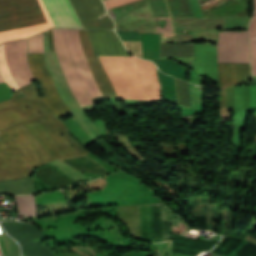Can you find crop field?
I'll list each match as a JSON object with an SVG mask.
<instances>
[{
	"label": "crop field",
	"mask_w": 256,
	"mask_h": 256,
	"mask_svg": "<svg viewBox=\"0 0 256 256\" xmlns=\"http://www.w3.org/2000/svg\"><path fill=\"white\" fill-rule=\"evenodd\" d=\"M35 177L50 189L68 186L75 183L74 180L49 163L38 168L35 172Z\"/></svg>",
	"instance_id": "obj_17"
},
{
	"label": "crop field",
	"mask_w": 256,
	"mask_h": 256,
	"mask_svg": "<svg viewBox=\"0 0 256 256\" xmlns=\"http://www.w3.org/2000/svg\"><path fill=\"white\" fill-rule=\"evenodd\" d=\"M0 192L14 194H35L33 176L0 182Z\"/></svg>",
	"instance_id": "obj_20"
},
{
	"label": "crop field",
	"mask_w": 256,
	"mask_h": 256,
	"mask_svg": "<svg viewBox=\"0 0 256 256\" xmlns=\"http://www.w3.org/2000/svg\"><path fill=\"white\" fill-rule=\"evenodd\" d=\"M172 253L195 256L197 253L209 250L218 240L205 241L200 239L186 238L172 233Z\"/></svg>",
	"instance_id": "obj_16"
},
{
	"label": "crop field",
	"mask_w": 256,
	"mask_h": 256,
	"mask_svg": "<svg viewBox=\"0 0 256 256\" xmlns=\"http://www.w3.org/2000/svg\"><path fill=\"white\" fill-rule=\"evenodd\" d=\"M211 252L220 256H256V245L241 239L223 237Z\"/></svg>",
	"instance_id": "obj_15"
},
{
	"label": "crop field",
	"mask_w": 256,
	"mask_h": 256,
	"mask_svg": "<svg viewBox=\"0 0 256 256\" xmlns=\"http://www.w3.org/2000/svg\"><path fill=\"white\" fill-rule=\"evenodd\" d=\"M39 113L43 114L30 118ZM19 121L0 131V180L25 177L48 161L89 153L42 101L35 83L0 103V130Z\"/></svg>",
	"instance_id": "obj_1"
},
{
	"label": "crop field",
	"mask_w": 256,
	"mask_h": 256,
	"mask_svg": "<svg viewBox=\"0 0 256 256\" xmlns=\"http://www.w3.org/2000/svg\"><path fill=\"white\" fill-rule=\"evenodd\" d=\"M249 38L251 44L252 59H256V15H253L249 25Z\"/></svg>",
	"instance_id": "obj_27"
},
{
	"label": "crop field",
	"mask_w": 256,
	"mask_h": 256,
	"mask_svg": "<svg viewBox=\"0 0 256 256\" xmlns=\"http://www.w3.org/2000/svg\"><path fill=\"white\" fill-rule=\"evenodd\" d=\"M175 87L178 104L183 107L191 108L188 83L175 79Z\"/></svg>",
	"instance_id": "obj_24"
},
{
	"label": "crop field",
	"mask_w": 256,
	"mask_h": 256,
	"mask_svg": "<svg viewBox=\"0 0 256 256\" xmlns=\"http://www.w3.org/2000/svg\"><path fill=\"white\" fill-rule=\"evenodd\" d=\"M5 81H4V79H3V77H2V75H1V73H0V83H4Z\"/></svg>",
	"instance_id": "obj_32"
},
{
	"label": "crop field",
	"mask_w": 256,
	"mask_h": 256,
	"mask_svg": "<svg viewBox=\"0 0 256 256\" xmlns=\"http://www.w3.org/2000/svg\"><path fill=\"white\" fill-rule=\"evenodd\" d=\"M118 220L127 224L131 235L140 240L138 205L119 206Z\"/></svg>",
	"instance_id": "obj_19"
},
{
	"label": "crop field",
	"mask_w": 256,
	"mask_h": 256,
	"mask_svg": "<svg viewBox=\"0 0 256 256\" xmlns=\"http://www.w3.org/2000/svg\"><path fill=\"white\" fill-rule=\"evenodd\" d=\"M78 31L81 39L82 49L84 51L85 57L89 63V66L91 68V71L94 75V78L96 80V83L100 91L103 93L104 97H117L107 75L105 74L99 62L98 57L94 56L93 54L87 31L86 30H78Z\"/></svg>",
	"instance_id": "obj_12"
},
{
	"label": "crop field",
	"mask_w": 256,
	"mask_h": 256,
	"mask_svg": "<svg viewBox=\"0 0 256 256\" xmlns=\"http://www.w3.org/2000/svg\"><path fill=\"white\" fill-rule=\"evenodd\" d=\"M59 64L69 87L81 106L92 104L89 97L100 95L81 49L77 30L53 29Z\"/></svg>",
	"instance_id": "obj_3"
},
{
	"label": "crop field",
	"mask_w": 256,
	"mask_h": 256,
	"mask_svg": "<svg viewBox=\"0 0 256 256\" xmlns=\"http://www.w3.org/2000/svg\"><path fill=\"white\" fill-rule=\"evenodd\" d=\"M17 215L25 214V217L35 216L36 206L34 196H15Z\"/></svg>",
	"instance_id": "obj_23"
},
{
	"label": "crop field",
	"mask_w": 256,
	"mask_h": 256,
	"mask_svg": "<svg viewBox=\"0 0 256 256\" xmlns=\"http://www.w3.org/2000/svg\"><path fill=\"white\" fill-rule=\"evenodd\" d=\"M48 36H49L50 50H51V52H55L51 29L48 30Z\"/></svg>",
	"instance_id": "obj_29"
},
{
	"label": "crop field",
	"mask_w": 256,
	"mask_h": 256,
	"mask_svg": "<svg viewBox=\"0 0 256 256\" xmlns=\"http://www.w3.org/2000/svg\"><path fill=\"white\" fill-rule=\"evenodd\" d=\"M220 82V106L226 107L225 88L252 80L249 64L218 63Z\"/></svg>",
	"instance_id": "obj_11"
},
{
	"label": "crop field",
	"mask_w": 256,
	"mask_h": 256,
	"mask_svg": "<svg viewBox=\"0 0 256 256\" xmlns=\"http://www.w3.org/2000/svg\"><path fill=\"white\" fill-rule=\"evenodd\" d=\"M246 239H247V240H250V241H252V242H254V243H256V240L253 239V238H251V237H249V236H248Z\"/></svg>",
	"instance_id": "obj_31"
},
{
	"label": "crop field",
	"mask_w": 256,
	"mask_h": 256,
	"mask_svg": "<svg viewBox=\"0 0 256 256\" xmlns=\"http://www.w3.org/2000/svg\"><path fill=\"white\" fill-rule=\"evenodd\" d=\"M63 161L80 171L107 175L105 170L98 163H96L93 159L87 156L64 159Z\"/></svg>",
	"instance_id": "obj_21"
},
{
	"label": "crop field",
	"mask_w": 256,
	"mask_h": 256,
	"mask_svg": "<svg viewBox=\"0 0 256 256\" xmlns=\"http://www.w3.org/2000/svg\"><path fill=\"white\" fill-rule=\"evenodd\" d=\"M8 67L17 85L35 81L27 63V40L4 43Z\"/></svg>",
	"instance_id": "obj_9"
},
{
	"label": "crop field",
	"mask_w": 256,
	"mask_h": 256,
	"mask_svg": "<svg viewBox=\"0 0 256 256\" xmlns=\"http://www.w3.org/2000/svg\"><path fill=\"white\" fill-rule=\"evenodd\" d=\"M53 27L41 0H0V43Z\"/></svg>",
	"instance_id": "obj_4"
},
{
	"label": "crop field",
	"mask_w": 256,
	"mask_h": 256,
	"mask_svg": "<svg viewBox=\"0 0 256 256\" xmlns=\"http://www.w3.org/2000/svg\"><path fill=\"white\" fill-rule=\"evenodd\" d=\"M55 27L82 28L68 0H42Z\"/></svg>",
	"instance_id": "obj_14"
},
{
	"label": "crop field",
	"mask_w": 256,
	"mask_h": 256,
	"mask_svg": "<svg viewBox=\"0 0 256 256\" xmlns=\"http://www.w3.org/2000/svg\"><path fill=\"white\" fill-rule=\"evenodd\" d=\"M83 28L113 29V22L105 13L100 0H69Z\"/></svg>",
	"instance_id": "obj_10"
},
{
	"label": "crop field",
	"mask_w": 256,
	"mask_h": 256,
	"mask_svg": "<svg viewBox=\"0 0 256 256\" xmlns=\"http://www.w3.org/2000/svg\"><path fill=\"white\" fill-rule=\"evenodd\" d=\"M161 57H193V43H187V44L161 43Z\"/></svg>",
	"instance_id": "obj_22"
},
{
	"label": "crop field",
	"mask_w": 256,
	"mask_h": 256,
	"mask_svg": "<svg viewBox=\"0 0 256 256\" xmlns=\"http://www.w3.org/2000/svg\"><path fill=\"white\" fill-rule=\"evenodd\" d=\"M218 32V62L250 63L247 31Z\"/></svg>",
	"instance_id": "obj_8"
},
{
	"label": "crop field",
	"mask_w": 256,
	"mask_h": 256,
	"mask_svg": "<svg viewBox=\"0 0 256 256\" xmlns=\"http://www.w3.org/2000/svg\"><path fill=\"white\" fill-rule=\"evenodd\" d=\"M28 53H44L42 33L29 39Z\"/></svg>",
	"instance_id": "obj_26"
},
{
	"label": "crop field",
	"mask_w": 256,
	"mask_h": 256,
	"mask_svg": "<svg viewBox=\"0 0 256 256\" xmlns=\"http://www.w3.org/2000/svg\"><path fill=\"white\" fill-rule=\"evenodd\" d=\"M4 229L21 245L23 256H62L41 244L45 236H76L82 235V227L61 229L58 231H40L32 225L22 222H1Z\"/></svg>",
	"instance_id": "obj_5"
},
{
	"label": "crop field",
	"mask_w": 256,
	"mask_h": 256,
	"mask_svg": "<svg viewBox=\"0 0 256 256\" xmlns=\"http://www.w3.org/2000/svg\"><path fill=\"white\" fill-rule=\"evenodd\" d=\"M31 71L39 85L41 97L58 116L70 112V108L59 97L51 74L46 68L44 54H28Z\"/></svg>",
	"instance_id": "obj_7"
},
{
	"label": "crop field",
	"mask_w": 256,
	"mask_h": 256,
	"mask_svg": "<svg viewBox=\"0 0 256 256\" xmlns=\"http://www.w3.org/2000/svg\"><path fill=\"white\" fill-rule=\"evenodd\" d=\"M95 55L127 56V52L114 31L87 30Z\"/></svg>",
	"instance_id": "obj_13"
},
{
	"label": "crop field",
	"mask_w": 256,
	"mask_h": 256,
	"mask_svg": "<svg viewBox=\"0 0 256 256\" xmlns=\"http://www.w3.org/2000/svg\"><path fill=\"white\" fill-rule=\"evenodd\" d=\"M0 71L5 79L6 83L10 87L11 91L18 89V86L16 85L15 81L13 80V78L7 68L3 45L0 46Z\"/></svg>",
	"instance_id": "obj_25"
},
{
	"label": "crop field",
	"mask_w": 256,
	"mask_h": 256,
	"mask_svg": "<svg viewBox=\"0 0 256 256\" xmlns=\"http://www.w3.org/2000/svg\"><path fill=\"white\" fill-rule=\"evenodd\" d=\"M252 73L256 75V60H252Z\"/></svg>",
	"instance_id": "obj_30"
},
{
	"label": "crop field",
	"mask_w": 256,
	"mask_h": 256,
	"mask_svg": "<svg viewBox=\"0 0 256 256\" xmlns=\"http://www.w3.org/2000/svg\"><path fill=\"white\" fill-rule=\"evenodd\" d=\"M141 241L171 240L169 214L162 203L139 205Z\"/></svg>",
	"instance_id": "obj_6"
},
{
	"label": "crop field",
	"mask_w": 256,
	"mask_h": 256,
	"mask_svg": "<svg viewBox=\"0 0 256 256\" xmlns=\"http://www.w3.org/2000/svg\"><path fill=\"white\" fill-rule=\"evenodd\" d=\"M255 1V10H254V13H256V0H254Z\"/></svg>",
	"instance_id": "obj_33"
},
{
	"label": "crop field",
	"mask_w": 256,
	"mask_h": 256,
	"mask_svg": "<svg viewBox=\"0 0 256 256\" xmlns=\"http://www.w3.org/2000/svg\"><path fill=\"white\" fill-rule=\"evenodd\" d=\"M143 58L148 60L160 59V33L139 32Z\"/></svg>",
	"instance_id": "obj_18"
},
{
	"label": "crop field",
	"mask_w": 256,
	"mask_h": 256,
	"mask_svg": "<svg viewBox=\"0 0 256 256\" xmlns=\"http://www.w3.org/2000/svg\"><path fill=\"white\" fill-rule=\"evenodd\" d=\"M131 1L134 0H104L103 2L106 6V9H108Z\"/></svg>",
	"instance_id": "obj_28"
},
{
	"label": "crop field",
	"mask_w": 256,
	"mask_h": 256,
	"mask_svg": "<svg viewBox=\"0 0 256 256\" xmlns=\"http://www.w3.org/2000/svg\"><path fill=\"white\" fill-rule=\"evenodd\" d=\"M99 59L120 99L161 98L154 63L134 56H99Z\"/></svg>",
	"instance_id": "obj_2"
}]
</instances>
